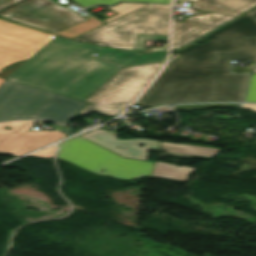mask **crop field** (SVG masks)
<instances>
[{
    "label": "crop field",
    "mask_w": 256,
    "mask_h": 256,
    "mask_svg": "<svg viewBox=\"0 0 256 256\" xmlns=\"http://www.w3.org/2000/svg\"><path fill=\"white\" fill-rule=\"evenodd\" d=\"M206 39L179 51L135 105L242 101L249 76L229 75V61H256V22L247 14Z\"/></svg>",
    "instance_id": "obj_1"
},
{
    "label": "crop field",
    "mask_w": 256,
    "mask_h": 256,
    "mask_svg": "<svg viewBox=\"0 0 256 256\" xmlns=\"http://www.w3.org/2000/svg\"><path fill=\"white\" fill-rule=\"evenodd\" d=\"M140 53L94 47L56 36L7 80L83 101Z\"/></svg>",
    "instance_id": "obj_2"
},
{
    "label": "crop field",
    "mask_w": 256,
    "mask_h": 256,
    "mask_svg": "<svg viewBox=\"0 0 256 256\" xmlns=\"http://www.w3.org/2000/svg\"><path fill=\"white\" fill-rule=\"evenodd\" d=\"M171 6L149 4L75 38L105 47L133 50L137 33L168 35Z\"/></svg>",
    "instance_id": "obj_3"
},
{
    "label": "crop field",
    "mask_w": 256,
    "mask_h": 256,
    "mask_svg": "<svg viewBox=\"0 0 256 256\" xmlns=\"http://www.w3.org/2000/svg\"><path fill=\"white\" fill-rule=\"evenodd\" d=\"M59 147L58 159L96 174L119 179H139L152 174L154 163L122 158L79 136L59 143ZM102 168L104 172H100Z\"/></svg>",
    "instance_id": "obj_4"
},
{
    "label": "crop field",
    "mask_w": 256,
    "mask_h": 256,
    "mask_svg": "<svg viewBox=\"0 0 256 256\" xmlns=\"http://www.w3.org/2000/svg\"><path fill=\"white\" fill-rule=\"evenodd\" d=\"M0 17L68 38L104 24L96 18H83L50 0H29L0 13Z\"/></svg>",
    "instance_id": "obj_5"
},
{
    "label": "crop field",
    "mask_w": 256,
    "mask_h": 256,
    "mask_svg": "<svg viewBox=\"0 0 256 256\" xmlns=\"http://www.w3.org/2000/svg\"><path fill=\"white\" fill-rule=\"evenodd\" d=\"M162 65L153 63L123 68L85 99L93 104L84 105L77 115H88L93 110L111 117L117 115L142 91Z\"/></svg>",
    "instance_id": "obj_6"
},
{
    "label": "crop field",
    "mask_w": 256,
    "mask_h": 256,
    "mask_svg": "<svg viewBox=\"0 0 256 256\" xmlns=\"http://www.w3.org/2000/svg\"><path fill=\"white\" fill-rule=\"evenodd\" d=\"M55 35L0 19V78H6Z\"/></svg>",
    "instance_id": "obj_7"
},
{
    "label": "crop field",
    "mask_w": 256,
    "mask_h": 256,
    "mask_svg": "<svg viewBox=\"0 0 256 256\" xmlns=\"http://www.w3.org/2000/svg\"><path fill=\"white\" fill-rule=\"evenodd\" d=\"M50 94L5 80L0 85V121L26 119Z\"/></svg>",
    "instance_id": "obj_8"
},
{
    "label": "crop field",
    "mask_w": 256,
    "mask_h": 256,
    "mask_svg": "<svg viewBox=\"0 0 256 256\" xmlns=\"http://www.w3.org/2000/svg\"><path fill=\"white\" fill-rule=\"evenodd\" d=\"M104 127V126H103ZM102 128V127H101ZM115 132L94 129L90 133H85L80 136L122 156L127 158L139 159L147 161L148 151L157 150L159 142L146 139L132 140H116ZM139 145H144L139 147ZM116 146H119L117 149ZM122 148H125L124 150Z\"/></svg>",
    "instance_id": "obj_9"
},
{
    "label": "crop field",
    "mask_w": 256,
    "mask_h": 256,
    "mask_svg": "<svg viewBox=\"0 0 256 256\" xmlns=\"http://www.w3.org/2000/svg\"><path fill=\"white\" fill-rule=\"evenodd\" d=\"M236 17L210 13L203 16H190L183 22L174 20L172 49H178L185 44L207 34L221 23H228Z\"/></svg>",
    "instance_id": "obj_10"
},
{
    "label": "crop field",
    "mask_w": 256,
    "mask_h": 256,
    "mask_svg": "<svg viewBox=\"0 0 256 256\" xmlns=\"http://www.w3.org/2000/svg\"><path fill=\"white\" fill-rule=\"evenodd\" d=\"M65 134L54 131H35L0 134V153L20 156L39 147L57 141Z\"/></svg>",
    "instance_id": "obj_11"
},
{
    "label": "crop field",
    "mask_w": 256,
    "mask_h": 256,
    "mask_svg": "<svg viewBox=\"0 0 256 256\" xmlns=\"http://www.w3.org/2000/svg\"><path fill=\"white\" fill-rule=\"evenodd\" d=\"M85 103L52 93L27 120H49L66 125Z\"/></svg>",
    "instance_id": "obj_12"
},
{
    "label": "crop field",
    "mask_w": 256,
    "mask_h": 256,
    "mask_svg": "<svg viewBox=\"0 0 256 256\" xmlns=\"http://www.w3.org/2000/svg\"><path fill=\"white\" fill-rule=\"evenodd\" d=\"M256 6V0H193L191 8L238 16Z\"/></svg>",
    "instance_id": "obj_13"
},
{
    "label": "crop field",
    "mask_w": 256,
    "mask_h": 256,
    "mask_svg": "<svg viewBox=\"0 0 256 256\" xmlns=\"http://www.w3.org/2000/svg\"><path fill=\"white\" fill-rule=\"evenodd\" d=\"M73 1L78 3L80 6L84 7V6H88V5L95 4V3L112 5L120 0H73ZM125 1L163 3V4L171 3V0H125Z\"/></svg>",
    "instance_id": "obj_14"
},
{
    "label": "crop field",
    "mask_w": 256,
    "mask_h": 256,
    "mask_svg": "<svg viewBox=\"0 0 256 256\" xmlns=\"http://www.w3.org/2000/svg\"><path fill=\"white\" fill-rule=\"evenodd\" d=\"M145 6V4H137V3H121L115 6H112L110 9L113 10L114 12L118 13L119 15L112 17L108 20H105L103 22L107 23L111 20H114L122 15H125L131 11H134L140 7Z\"/></svg>",
    "instance_id": "obj_15"
},
{
    "label": "crop field",
    "mask_w": 256,
    "mask_h": 256,
    "mask_svg": "<svg viewBox=\"0 0 256 256\" xmlns=\"http://www.w3.org/2000/svg\"><path fill=\"white\" fill-rule=\"evenodd\" d=\"M35 122H9V123H0V133L5 132H22L27 131ZM3 126H10L7 130ZM12 128V130H10Z\"/></svg>",
    "instance_id": "obj_16"
},
{
    "label": "crop field",
    "mask_w": 256,
    "mask_h": 256,
    "mask_svg": "<svg viewBox=\"0 0 256 256\" xmlns=\"http://www.w3.org/2000/svg\"><path fill=\"white\" fill-rule=\"evenodd\" d=\"M144 40L168 41V36L138 34L134 50L144 51V47L142 46Z\"/></svg>",
    "instance_id": "obj_17"
},
{
    "label": "crop field",
    "mask_w": 256,
    "mask_h": 256,
    "mask_svg": "<svg viewBox=\"0 0 256 256\" xmlns=\"http://www.w3.org/2000/svg\"><path fill=\"white\" fill-rule=\"evenodd\" d=\"M165 55H166V53L143 54L136 61H134L131 65L148 63V62L164 61Z\"/></svg>",
    "instance_id": "obj_18"
},
{
    "label": "crop field",
    "mask_w": 256,
    "mask_h": 256,
    "mask_svg": "<svg viewBox=\"0 0 256 256\" xmlns=\"http://www.w3.org/2000/svg\"><path fill=\"white\" fill-rule=\"evenodd\" d=\"M212 107H237V104H200V105H180L176 106V109L181 110H197L206 109Z\"/></svg>",
    "instance_id": "obj_19"
},
{
    "label": "crop field",
    "mask_w": 256,
    "mask_h": 256,
    "mask_svg": "<svg viewBox=\"0 0 256 256\" xmlns=\"http://www.w3.org/2000/svg\"><path fill=\"white\" fill-rule=\"evenodd\" d=\"M246 102H256V74H252Z\"/></svg>",
    "instance_id": "obj_20"
},
{
    "label": "crop field",
    "mask_w": 256,
    "mask_h": 256,
    "mask_svg": "<svg viewBox=\"0 0 256 256\" xmlns=\"http://www.w3.org/2000/svg\"><path fill=\"white\" fill-rule=\"evenodd\" d=\"M55 152V147L51 146L49 148L43 149L41 151H38L36 153L30 154L28 156L32 157H44V158H52Z\"/></svg>",
    "instance_id": "obj_21"
},
{
    "label": "crop field",
    "mask_w": 256,
    "mask_h": 256,
    "mask_svg": "<svg viewBox=\"0 0 256 256\" xmlns=\"http://www.w3.org/2000/svg\"><path fill=\"white\" fill-rule=\"evenodd\" d=\"M21 1L23 0H0V10H3Z\"/></svg>",
    "instance_id": "obj_22"
},
{
    "label": "crop field",
    "mask_w": 256,
    "mask_h": 256,
    "mask_svg": "<svg viewBox=\"0 0 256 256\" xmlns=\"http://www.w3.org/2000/svg\"><path fill=\"white\" fill-rule=\"evenodd\" d=\"M240 107L251 109L256 112V104H241Z\"/></svg>",
    "instance_id": "obj_23"
},
{
    "label": "crop field",
    "mask_w": 256,
    "mask_h": 256,
    "mask_svg": "<svg viewBox=\"0 0 256 256\" xmlns=\"http://www.w3.org/2000/svg\"><path fill=\"white\" fill-rule=\"evenodd\" d=\"M167 48V44L164 45V48H151V52L152 51H166Z\"/></svg>",
    "instance_id": "obj_24"
},
{
    "label": "crop field",
    "mask_w": 256,
    "mask_h": 256,
    "mask_svg": "<svg viewBox=\"0 0 256 256\" xmlns=\"http://www.w3.org/2000/svg\"><path fill=\"white\" fill-rule=\"evenodd\" d=\"M249 15L256 21V11L250 13ZM254 72H256V67Z\"/></svg>",
    "instance_id": "obj_25"
},
{
    "label": "crop field",
    "mask_w": 256,
    "mask_h": 256,
    "mask_svg": "<svg viewBox=\"0 0 256 256\" xmlns=\"http://www.w3.org/2000/svg\"><path fill=\"white\" fill-rule=\"evenodd\" d=\"M3 81H4L3 79H0V84H1Z\"/></svg>",
    "instance_id": "obj_26"
}]
</instances>
